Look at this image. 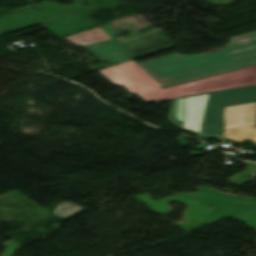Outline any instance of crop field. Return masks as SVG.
<instances>
[{
  "instance_id": "7",
  "label": "crop field",
  "mask_w": 256,
  "mask_h": 256,
  "mask_svg": "<svg viewBox=\"0 0 256 256\" xmlns=\"http://www.w3.org/2000/svg\"><path fill=\"white\" fill-rule=\"evenodd\" d=\"M110 39L111 38L106 34V32L101 27H99L71 37L64 38L62 40H67L78 46H82Z\"/></svg>"
},
{
  "instance_id": "8",
  "label": "crop field",
  "mask_w": 256,
  "mask_h": 256,
  "mask_svg": "<svg viewBox=\"0 0 256 256\" xmlns=\"http://www.w3.org/2000/svg\"><path fill=\"white\" fill-rule=\"evenodd\" d=\"M82 209H83L82 207L72 202H62L57 206V208L53 213L56 216L65 219Z\"/></svg>"
},
{
  "instance_id": "11",
  "label": "crop field",
  "mask_w": 256,
  "mask_h": 256,
  "mask_svg": "<svg viewBox=\"0 0 256 256\" xmlns=\"http://www.w3.org/2000/svg\"><path fill=\"white\" fill-rule=\"evenodd\" d=\"M203 152H192L191 155H201Z\"/></svg>"
},
{
  "instance_id": "12",
  "label": "crop field",
  "mask_w": 256,
  "mask_h": 256,
  "mask_svg": "<svg viewBox=\"0 0 256 256\" xmlns=\"http://www.w3.org/2000/svg\"><path fill=\"white\" fill-rule=\"evenodd\" d=\"M204 146H206V144L202 143L197 148L202 149Z\"/></svg>"
},
{
  "instance_id": "3",
  "label": "crop field",
  "mask_w": 256,
  "mask_h": 256,
  "mask_svg": "<svg viewBox=\"0 0 256 256\" xmlns=\"http://www.w3.org/2000/svg\"><path fill=\"white\" fill-rule=\"evenodd\" d=\"M256 102V86L174 100L168 121L205 139L223 133V106Z\"/></svg>"
},
{
  "instance_id": "10",
  "label": "crop field",
  "mask_w": 256,
  "mask_h": 256,
  "mask_svg": "<svg viewBox=\"0 0 256 256\" xmlns=\"http://www.w3.org/2000/svg\"><path fill=\"white\" fill-rule=\"evenodd\" d=\"M178 139H179V141L182 143V145L187 144L181 136H180V137H178Z\"/></svg>"
},
{
  "instance_id": "6",
  "label": "crop field",
  "mask_w": 256,
  "mask_h": 256,
  "mask_svg": "<svg viewBox=\"0 0 256 256\" xmlns=\"http://www.w3.org/2000/svg\"><path fill=\"white\" fill-rule=\"evenodd\" d=\"M103 60L109 59L115 64H119L131 58L117 43L114 41L91 45L90 46ZM114 65V64H113ZM112 66V65H110ZM108 66V67H110ZM88 68L96 71L98 69L104 68L97 65L87 66ZM95 68V69H93Z\"/></svg>"
},
{
  "instance_id": "1",
  "label": "crop field",
  "mask_w": 256,
  "mask_h": 256,
  "mask_svg": "<svg viewBox=\"0 0 256 256\" xmlns=\"http://www.w3.org/2000/svg\"><path fill=\"white\" fill-rule=\"evenodd\" d=\"M256 63V31L197 55L177 53L138 63L163 86Z\"/></svg>"
},
{
  "instance_id": "9",
  "label": "crop field",
  "mask_w": 256,
  "mask_h": 256,
  "mask_svg": "<svg viewBox=\"0 0 256 256\" xmlns=\"http://www.w3.org/2000/svg\"><path fill=\"white\" fill-rule=\"evenodd\" d=\"M106 32L107 34L112 38V39H115L116 37V34H117V31L115 28H113L111 25L107 24V25H104V26H101Z\"/></svg>"
},
{
  "instance_id": "4",
  "label": "crop field",
  "mask_w": 256,
  "mask_h": 256,
  "mask_svg": "<svg viewBox=\"0 0 256 256\" xmlns=\"http://www.w3.org/2000/svg\"><path fill=\"white\" fill-rule=\"evenodd\" d=\"M254 104L225 108V133L219 139L242 143L245 139L256 144V122Z\"/></svg>"
},
{
  "instance_id": "2",
  "label": "crop field",
  "mask_w": 256,
  "mask_h": 256,
  "mask_svg": "<svg viewBox=\"0 0 256 256\" xmlns=\"http://www.w3.org/2000/svg\"><path fill=\"white\" fill-rule=\"evenodd\" d=\"M98 72L111 83L123 86L131 94L137 93L147 102L256 85V65L163 89H160L161 84L133 60Z\"/></svg>"
},
{
  "instance_id": "5",
  "label": "crop field",
  "mask_w": 256,
  "mask_h": 256,
  "mask_svg": "<svg viewBox=\"0 0 256 256\" xmlns=\"http://www.w3.org/2000/svg\"><path fill=\"white\" fill-rule=\"evenodd\" d=\"M164 38L163 40H158ZM142 42H139V40ZM131 57L136 58L141 55L156 52L174 44L166 37L162 30L148 34L142 38L136 39L131 43L115 40Z\"/></svg>"
}]
</instances>
